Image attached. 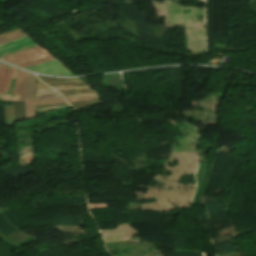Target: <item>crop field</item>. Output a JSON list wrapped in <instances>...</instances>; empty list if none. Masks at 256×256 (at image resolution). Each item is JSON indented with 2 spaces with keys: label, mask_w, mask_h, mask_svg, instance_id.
<instances>
[{
  "label": "crop field",
  "mask_w": 256,
  "mask_h": 256,
  "mask_svg": "<svg viewBox=\"0 0 256 256\" xmlns=\"http://www.w3.org/2000/svg\"><path fill=\"white\" fill-rule=\"evenodd\" d=\"M27 78L28 72L18 69L12 94L20 95V100H23L24 97Z\"/></svg>",
  "instance_id": "2"
},
{
  "label": "crop field",
  "mask_w": 256,
  "mask_h": 256,
  "mask_svg": "<svg viewBox=\"0 0 256 256\" xmlns=\"http://www.w3.org/2000/svg\"><path fill=\"white\" fill-rule=\"evenodd\" d=\"M52 56L45 48L39 46L29 50H25L16 54H12L3 58H0L9 63L18 65L21 63L31 62L46 57Z\"/></svg>",
  "instance_id": "1"
},
{
  "label": "crop field",
  "mask_w": 256,
  "mask_h": 256,
  "mask_svg": "<svg viewBox=\"0 0 256 256\" xmlns=\"http://www.w3.org/2000/svg\"><path fill=\"white\" fill-rule=\"evenodd\" d=\"M90 97H99V96L93 95V96L68 97V98H66V100L77 99V98H90Z\"/></svg>",
  "instance_id": "6"
},
{
  "label": "crop field",
  "mask_w": 256,
  "mask_h": 256,
  "mask_svg": "<svg viewBox=\"0 0 256 256\" xmlns=\"http://www.w3.org/2000/svg\"><path fill=\"white\" fill-rule=\"evenodd\" d=\"M61 102H65L63 100V98L41 99V100H35V101H25V108H26L27 118L36 117L35 105L50 104V103H61Z\"/></svg>",
  "instance_id": "3"
},
{
  "label": "crop field",
  "mask_w": 256,
  "mask_h": 256,
  "mask_svg": "<svg viewBox=\"0 0 256 256\" xmlns=\"http://www.w3.org/2000/svg\"><path fill=\"white\" fill-rule=\"evenodd\" d=\"M52 60H56V58L54 56L52 57H49V58H46V59H43V60H39V61H35V62H31V63H26V64H21V65H18L22 68H25V67H29V66H32V65H36V64H40V63H44V62H48V61H52Z\"/></svg>",
  "instance_id": "5"
},
{
  "label": "crop field",
  "mask_w": 256,
  "mask_h": 256,
  "mask_svg": "<svg viewBox=\"0 0 256 256\" xmlns=\"http://www.w3.org/2000/svg\"><path fill=\"white\" fill-rule=\"evenodd\" d=\"M5 72H6V66L1 64L0 65V91H1L2 86H3V82H4V78H5ZM15 75H16V69L13 68V67H10L9 70H8V73L6 75V78H5L2 93H7L11 77L12 76L15 77Z\"/></svg>",
  "instance_id": "4"
}]
</instances>
